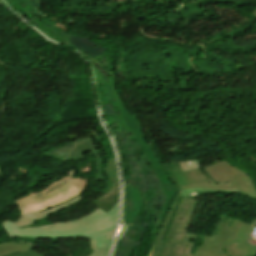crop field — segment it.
I'll use <instances>...</instances> for the list:
<instances>
[{
  "label": "crop field",
  "instance_id": "crop-field-1",
  "mask_svg": "<svg viewBox=\"0 0 256 256\" xmlns=\"http://www.w3.org/2000/svg\"><path fill=\"white\" fill-rule=\"evenodd\" d=\"M78 197L56 207L41 212L24 215L17 222H6L4 225L13 237L33 238H91L116 226L118 201L107 213L97 208L92 213L76 220L53 225L18 229L21 226L33 225V221L47 217L71 204L80 201Z\"/></svg>",
  "mask_w": 256,
  "mask_h": 256
},
{
  "label": "crop field",
  "instance_id": "crop-field-2",
  "mask_svg": "<svg viewBox=\"0 0 256 256\" xmlns=\"http://www.w3.org/2000/svg\"><path fill=\"white\" fill-rule=\"evenodd\" d=\"M87 151L92 153L96 159V179L102 180L106 184L105 190L91 202L107 212L113 207L119 197L115 158L103 161L94 143L93 137L56 146L42 154L61 162H66L86 159L84 153Z\"/></svg>",
  "mask_w": 256,
  "mask_h": 256
},
{
  "label": "crop field",
  "instance_id": "crop-field-3",
  "mask_svg": "<svg viewBox=\"0 0 256 256\" xmlns=\"http://www.w3.org/2000/svg\"><path fill=\"white\" fill-rule=\"evenodd\" d=\"M242 223L222 215L212 235L187 233L182 242L188 245L185 256H244L235 246Z\"/></svg>",
  "mask_w": 256,
  "mask_h": 256
},
{
  "label": "crop field",
  "instance_id": "crop-field-4",
  "mask_svg": "<svg viewBox=\"0 0 256 256\" xmlns=\"http://www.w3.org/2000/svg\"><path fill=\"white\" fill-rule=\"evenodd\" d=\"M109 78V82L111 84V89H112V92L115 96V99H116V104H117V107L120 111V114H121V117L123 119V123L124 125L128 128V130H131L134 132L137 140L139 141L145 155H147L151 165L153 166L154 168V171L159 179V182L161 183L165 193H166V201H165V205H164V210H163V213L160 215L159 219H158V222L156 224V227L154 229V233L156 232L167 208H168V205L174 195V192H175V189L169 179V177L167 176V174L165 173L164 169L162 168V166L159 164V162L157 161V159L155 158L153 152L151 151V149L148 147L145 139H144V135L142 133V130L140 128V126L138 125L137 123V120L135 118H133L129 112L124 108L121 100L118 101L119 96L116 94L115 90H114V87H113V79L111 76H108ZM140 137V138H139ZM161 177H163V179H161Z\"/></svg>",
  "mask_w": 256,
  "mask_h": 256
},
{
  "label": "crop field",
  "instance_id": "crop-field-5",
  "mask_svg": "<svg viewBox=\"0 0 256 256\" xmlns=\"http://www.w3.org/2000/svg\"><path fill=\"white\" fill-rule=\"evenodd\" d=\"M216 183L230 182L243 195L256 200V188L250 176L230 165L227 161L203 167Z\"/></svg>",
  "mask_w": 256,
  "mask_h": 256
},
{
  "label": "crop field",
  "instance_id": "crop-field-6",
  "mask_svg": "<svg viewBox=\"0 0 256 256\" xmlns=\"http://www.w3.org/2000/svg\"><path fill=\"white\" fill-rule=\"evenodd\" d=\"M80 193V190L68 183L48 193L45 196L40 193L34 196L27 197L24 200L17 202V205L22 215H24L41 211L51 206L59 205L78 196Z\"/></svg>",
  "mask_w": 256,
  "mask_h": 256
},
{
  "label": "crop field",
  "instance_id": "crop-field-7",
  "mask_svg": "<svg viewBox=\"0 0 256 256\" xmlns=\"http://www.w3.org/2000/svg\"><path fill=\"white\" fill-rule=\"evenodd\" d=\"M195 201L188 198H180L179 208H177L170 228L164 241L181 244L192 217L196 211Z\"/></svg>",
  "mask_w": 256,
  "mask_h": 256
},
{
  "label": "crop field",
  "instance_id": "crop-field-8",
  "mask_svg": "<svg viewBox=\"0 0 256 256\" xmlns=\"http://www.w3.org/2000/svg\"><path fill=\"white\" fill-rule=\"evenodd\" d=\"M164 167L179 191L177 196H180L181 186L211 180L208 174H203L200 168L183 173L178 162L164 164Z\"/></svg>",
  "mask_w": 256,
  "mask_h": 256
},
{
  "label": "crop field",
  "instance_id": "crop-field-9",
  "mask_svg": "<svg viewBox=\"0 0 256 256\" xmlns=\"http://www.w3.org/2000/svg\"><path fill=\"white\" fill-rule=\"evenodd\" d=\"M141 205V196L134 188L125 185L123 222L130 224L136 217Z\"/></svg>",
  "mask_w": 256,
  "mask_h": 256
},
{
  "label": "crop field",
  "instance_id": "crop-field-10",
  "mask_svg": "<svg viewBox=\"0 0 256 256\" xmlns=\"http://www.w3.org/2000/svg\"><path fill=\"white\" fill-rule=\"evenodd\" d=\"M254 226H256V220L251 221L249 224L243 223L237 236V250L247 256L256 255V242L250 241V235Z\"/></svg>",
  "mask_w": 256,
  "mask_h": 256
},
{
  "label": "crop field",
  "instance_id": "crop-field-11",
  "mask_svg": "<svg viewBox=\"0 0 256 256\" xmlns=\"http://www.w3.org/2000/svg\"><path fill=\"white\" fill-rule=\"evenodd\" d=\"M114 230L115 228L89 239L93 249L89 256H108Z\"/></svg>",
  "mask_w": 256,
  "mask_h": 256
},
{
  "label": "crop field",
  "instance_id": "crop-field-12",
  "mask_svg": "<svg viewBox=\"0 0 256 256\" xmlns=\"http://www.w3.org/2000/svg\"><path fill=\"white\" fill-rule=\"evenodd\" d=\"M213 190H225V191H236L230 183L228 184H216L213 181L200 183V184H194L189 186L182 187L181 196H188L192 193L198 192V191H213Z\"/></svg>",
  "mask_w": 256,
  "mask_h": 256
},
{
  "label": "crop field",
  "instance_id": "crop-field-13",
  "mask_svg": "<svg viewBox=\"0 0 256 256\" xmlns=\"http://www.w3.org/2000/svg\"><path fill=\"white\" fill-rule=\"evenodd\" d=\"M179 198L180 197H177L176 200L174 201V203H173V205H172V207H171V209H170V211H169V213H168V215H167V217H166V219H165V221H164V223L154 241L151 256H158L160 247L163 243V240H164L167 230L169 228L170 222L172 220V217H173L176 207L178 205ZM163 233H165V235H163Z\"/></svg>",
  "mask_w": 256,
  "mask_h": 256
},
{
  "label": "crop field",
  "instance_id": "crop-field-14",
  "mask_svg": "<svg viewBox=\"0 0 256 256\" xmlns=\"http://www.w3.org/2000/svg\"><path fill=\"white\" fill-rule=\"evenodd\" d=\"M15 242L16 241L0 244V256H8L14 253L27 251L36 247L34 245H28L24 243L22 245H18Z\"/></svg>",
  "mask_w": 256,
  "mask_h": 256
},
{
  "label": "crop field",
  "instance_id": "crop-field-15",
  "mask_svg": "<svg viewBox=\"0 0 256 256\" xmlns=\"http://www.w3.org/2000/svg\"><path fill=\"white\" fill-rule=\"evenodd\" d=\"M186 250V246L184 245H177L164 242L159 256H183Z\"/></svg>",
  "mask_w": 256,
  "mask_h": 256
},
{
  "label": "crop field",
  "instance_id": "crop-field-16",
  "mask_svg": "<svg viewBox=\"0 0 256 256\" xmlns=\"http://www.w3.org/2000/svg\"><path fill=\"white\" fill-rule=\"evenodd\" d=\"M71 183L72 185H74L75 187H77L78 189H80L81 191H83L88 183L87 180H83V179H71V178H67L66 180L60 182L59 184L51 187L50 189L42 192L44 195L47 194L48 192L66 184V183Z\"/></svg>",
  "mask_w": 256,
  "mask_h": 256
},
{
  "label": "crop field",
  "instance_id": "crop-field-17",
  "mask_svg": "<svg viewBox=\"0 0 256 256\" xmlns=\"http://www.w3.org/2000/svg\"><path fill=\"white\" fill-rule=\"evenodd\" d=\"M183 171H188L191 169H195L198 167H203V165L200 163V161L198 159H194V160H188V161H182L179 162Z\"/></svg>",
  "mask_w": 256,
  "mask_h": 256
},
{
  "label": "crop field",
  "instance_id": "crop-field-18",
  "mask_svg": "<svg viewBox=\"0 0 256 256\" xmlns=\"http://www.w3.org/2000/svg\"><path fill=\"white\" fill-rule=\"evenodd\" d=\"M11 256H43L39 253H36L34 251H27V252H22V253H18V254H14V255H11Z\"/></svg>",
  "mask_w": 256,
  "mask_h": 256
}]
</instances>
